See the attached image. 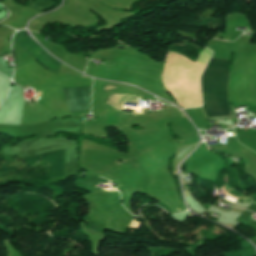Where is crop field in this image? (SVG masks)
Returning <instances> with one entry per match:
<instances>
[{
    "mask_svg": "<svg viewBox=\"0 0 256 256\" xmlns=\"http://www.w3.org/2000/svg\"><path fill=\"white\" fill-rule=\"evenodd\" d=\"M229 71L227 60L211 59L202 78L204 106L208 118L230 114L227 88Z\"/></svg>",
    "mask_w": 256,
    "mask_h": 256,
    "instance_id": "1",
    "label": "crop field"
},
{
    "mask_svg": "<svg viewBox=\"0 0 256 256\" xmlns=\"http://www.w3.org/2000/svg\"><path fill=\"white\" fill-rule=\"evenodd\" d=\"M19 46L35 58L38 62H40L44 67L48 70L59 72L62 64H60L57 60L53 59L49 56L35 41H33L28 35L21 33L15 39Z\"/></svg>",
    "mask_w": 256,
    "mask_h": 256,
    "instance_id": "2",
    "label": "crop field"
},
{
    "mask_svg": "<svg viewBox=\"0 0 256 256\" xmlns=\"http://www.w3.org/2000/svg\"><path fill=\"white\" fill-rule=\"evenodd\" d=\"M69 112L89 109L90 87L63 88Z\"/></svg>",
    "mask_w": 256,
    "mask_h": 256,
    "instance_id": "3",
    "label": "crop field"
},
{
    "mask_svg": "<svg viewBox=\"0 0 256 256\" xmlns=\"http://www.w3.org/2000/svg\"><path fill=\"white\" fill-rule=\"evenodd\" d=\"M37 94H38V96H41V93H40V91H37Z\"/></svg>",
    "mask_w": 256,
    "mask_h": 256,
    "instance_id": "4",
    "label": "crop field"
}]
</instances>
